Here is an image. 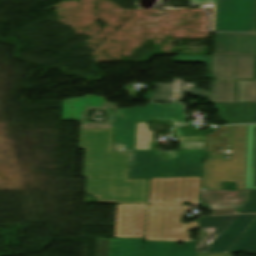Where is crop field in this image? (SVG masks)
Segmentation results:
<instances>
[{"instance_id":"crop-field-1","label":"crop field","mask_w":256,"mask_h":256,"mask_svg":"<svg viewBox=\"0 0 256 256\" xmlns=\"http://www.w3.org/2000/svg\"><path fill=\"white\" fill-rule=\"evenodd\" d=\"M105 100L84 95L64 100L62 105L61 120H81L79 148H85V194L95 196L97 203L147 204L149 179L130 178L201 176L203 150L177 152V162H157L158 151H133L136 122L171 120L174 126L186 124L182 104L148 103L144 108L120 109ZM112 108L119 112L112 113ZM90 109L105 110L104 122H110H83ZM113 140L124 147H113Z\"/></svg>"},{"instance_id":"crop-field-2","label":"crop field","mask_w":256,"mask_h":256,"mask_svg":"<svg viewBox=\"0 0 256 256\" xmlns=\"http://www.w3.org/2000/svg\"><path fill=\"white\" fill-rule=\"evenodd\" d=\"M246 140L247 126H223L215 135L206 136L204 152H211V158L203 164V187L221 190V182H236L237 190H245ZM219 144L231 147L230 159L216 153Z\"/></svg>"},{"instance_id":"crop-field-3","label":"crop field","mask_w":256,"mask_h":256,"mask_svg":"<svg viewBox=\"0 0 256 256\" xmlns=\"http://www.w3.org/2000/svg\"><path fill=\"white\" fill-rule=\"evenodd\" d=\"M186 208L174 206H149L145 240H179L178 232L171 228H180V220ZM146 205H118L115 237L143 238Z\"/></svg>"},{"instance_id":"crop-field-4","label":"crop field","mask_w":256,"mask_h":256,"mask_svg":"<svg viewBox=\"0 0 256 256\" xmlns=\"http://www.w3.org/2000/svg\"><path fill=\"white\" fill-rule=\"evenodd\" d=\"M143 239L97 238L96 256H141ZM196 243L145 241L143 256H195Z\"/></svg>"},{"instance_id":"crop-field-5","label":"crop field","mask_w":256,"mask_h":256,"mask_svg":"<svg viewBox=\"0 0 256 256\" xmlns=\"http://www.w3.org/2000/svg\"><path fill=\"white\" fill-rule=\"evenodd\" d=\"M256 219V215H235L200 218L199 227H217L198 253H227L237 239ZM239 240V239H238Z\"/></svg>"},{"instance_id":"crop-field-6","label":"crop field","mask_w":256,"mask_h":256,"mask_svg":"<svg viewBox=\"0 0 256 256\" xmlns=\"http://www.w3.org/2000/svg\"><path fill=\"white\" fill-rule=\"evenodd\" d=\"M190 179V187L186 186ZM201 188V177L157 178L151 179L149 204L182 205V202L199 203L198 194Z\"/></svg>"},{"instance_id":"crop-field-7","label":"crop field","mask_w":256,"mask_h":256,"mask_svg":"<svg viewBox=\"0 0 256 256\" xmlns=\"http://www.w3.org/2000/svg\"><path fill=\"white\" fill-rule=\"evenodd\" d=\"M256 0H217L214 31L253 32Z\"/></svg>"},{"instance_id":"crop-field-8","label":"crop field","mask_w":256,"mask_h":256,"mask_svg":"<svg viewBox=\"0 0 256 256\" xmlns=\"http://www.w3.org/2000/svg\"><path fill=\"white\" fill-rule=\"evenodd\" d=\"M255 57L213 56L211 76L217 80L253 79Z\"/></svg>"},{"instance_id":"crop-field-9","label":"crop field","mask_w":256,"mask_h":256,"mask_svg":"<svg viewBox=\"0 0 256 256\" xmlns=\"http://www.w3.org/2000/svg\"><path fill=\"white\" fill-rule=\"evenodd\" d=\"M256 81H238V102L255 100ZM209 103H235V81H213Z\"/></svg>"},{"instance_id":"crop-field-10","label":"crop field","mask_w":256,"mask_h":256,"mask_svg":"<svg viewBox=\"0 0 256 256\" xmlns=\"http://www.w3.org/2000/svg\"><path fill=\"white\" fill-rule=\"evenodd\" d=\"M256 34L216 33L214 55L255 56Z\"/></svg>"},{"instance_id":"crop-field-11","label":"crop field","mask_w":256,"mask_h":256,"mask_svg":"<svg viewBox=\"0 0 256 256\" xmlns=\"http://www.w3.org/2000/svg\"><path fill=\"white\" fill-rule=\"evenodd\" d=\"M182 81L181 79L174 78L172 84L158 83L151 101L176 102L182 100L186 93L208 98V91L198 89L194 84Z\"/></svg>"},{"instance_id":"crop-field-12","label":"crop field","mask_w":256,"mask_h":256,"mask_svg":"<svg viewBox=\"0 0 256 256\" xmlns=\"http://www.w3.org/2000/svg\"><path fill=\"white\" fill-rule=\"evenodd\" d=\"M233 195L241 199L234 206H228L225 204L227 199L224 196ZM201 199H210V201H202L200 203H216L218 208H215V212L211 215L216 214H231L239 213L244 205L249 201V191H201Z\"/></svg>"},{"instance_id":"crop-field-13","label":"crop field","mask_w":256,"mask_h":256,"mask_svg":"<svg viewBox=\"0 0 256 256\" xmlns=\"http://www.w3.org/2000/svg\"><path fill=\"white\" fill-rule=\"evenodd\" d=\"M221 119L228 124L251 123L252 104H214Z\"/></svg>"},{"instance_id":"crop-field-14","label":"crop field","mask_w":256,"mask_h":256,"mask_svg":"<svg viewBox=\"0 0 256 256\" xmlns=\"http://www.w3.org/2000/svg\"><path fill=\"white\" fill-rule=\"evenodd\" d=\"M246 189H256V126H248Z\"/></svg>"},{"instance_id":"crop-field-15","label":"crop field","mask_w":256,"mask_h":256,"mask_svg":"<svg viewBox=\"0 0 256 256\" xmlns=\"http://www.w3.org/2000/svg\"><path fill=\"white\" fill-rule=\"evenodd\" d=\"M241 250L249 254H256V222L244 234L230 253H239Z\"/></svg>"},{"instance_id":"crop-field-16","label":"crop field","mask_w":256,"mask_h":256,"mask_svg":"<svg viewBox=\"0 0 256 256\" xmlns=\"http://www.w3.org/2000/svg\"><path fill=\"white\" fill-rule=\"evenodd\" d=\"M174 62H199L206 63L208 66L207 77H210L211 56H177L173 59Z\"/></svg>"},{"instance_id":"crop-field-17","label":"crop field","mask_w":256,"mask_h":256,"mask_svg":"<svg viewBox=\"0 0 256 256\" xmlns=\"http://www.w3.org/2000/svg\"><path fill=\"white\" fill-rule=\"evenodd\" d=\"M192 2L194 5H202L204 7L213 8L211 18V30L213 31L216 0H192ZM135 9H140L139 0H135Z\"/></svg>"},{"instance_id":"crop-field-18","label":"crop field","mask_w":256,"mask_h":256,"mask_svg":"<svg viewBox=\"0 0 256 256\" xmlns=\"http://www.w3.org/2000/svg\"><path fill=\"white\" fill-rule=\"evenodd\" d=\"M241 213H256V191H251V200Z\"/></svg>"},{"instance_id":"crop-field-19","label":"crop field","mask_w":256,"mask_h":256,"mask_svg":"<svg viewBox=\"0 0 256 256\" xmlns=\"http://www.w3.org/2000/svg\"><path fill=\"white\" fill-rule=\"evenodd\" d=\"M158 161H176V152H160Z\"/></svg>"},{"instance_id":"crop-field-20","label":"crop field","mask_w":256,"mask_h":256,"mask_svg":"<svg viewBox=\"0 0 256 256\" xmlns=\"http://www.w3.org/2000/svg\"><path fill=\"white\" fill-rule=\"evenodd\" d=\"M181 228H185L184 239H186L188 241H191V240H189V233H188V231L198 228V222L193 221V222H191L189 224H181ZM191 242H193V241H191Z\"/></svg>"},{"instance_id":"crop-field-21","label":"crop field","mask_w":256,"mask_h":256,"mask_svg":"<svg viewBox=\"0 0 256 256\" xmlns=\"http://www.w3.org/2000/svg\"><path fill=\"white\" fill-rule=\"evenodd\" d=\"M198 256H232V254H227V255H216V254H200Z\"/></svg>"},{"instance_id":"crop-field-22","label":"crop field","mask_w":256,"mask_h":256,"mask_svg":"<svg viewBox=\"0 0 256 256\" xmlns=\"http://www.w3.org/2000/svg\"><path fill=\"white\" fill-rule=\"evenodd\" d=\"M171 231H178V232H180V239H183L184 229H172Z\"/></svg>"},{"instance_id":"crop-field-23","label":"crop field","mask_w":256,"mask_h":256,"mask_svg":"<svg viewBox=\"0 0 256 256\" xmlns=\"http://www.w3.org/2000/svg\"><path fill=\"white\" fill-rule=\"evenodd\" d=\"M253 123H256V104H255V107H254Z\"/></svg>"},{"instance_id":"crop-field-24","label":"crop field","mask_w":256,"mask_h":256,"mask_svg":"<svg viewBox=\"0 0 256 256\" xmlns=\"http://www.w3.org/2000/svg\"><path fill=\"white\" fill-rule=\"evenodd\" d=\"M114 146H122V144L114 142Z\"/></svg>"},{"instance_id":"crop-field-25","label":"crop field","mask_w":256,"mask_h":256,"mask_svg":"<svg viewBox=\"0 0 256 256\" xmlns=\"http://www.w3.org/2000/svg\"><path fill=\"white\" fill-rule=\"evenodd\" d=\"M255 32H256V26H255Z\"/></svg>"},{"instance_id":"crop-field-26","label":"crop field","mask_w":256,"mask_h":256,"mask_svg":"<svg viewBox=\"0 0 256 256\" xmlns=\"http://www.w3.org/2000/svg\"><path fill=\"white\" fill-rule=\"evenodd\" d=\"M5 256H10V255H5Z\"/></svg>"}]
</instances>
